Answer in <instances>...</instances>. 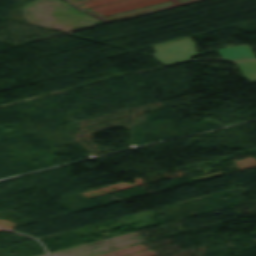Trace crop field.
I'll return each mask as SVG.
<instances>
[{
	"mask_svg": "<svg viewBox=\"0 0 256 256\" xmlns=\"http://www.w3.org/2000/svg\"><path fill=\"white\" fill-rule=\"evenodd\" d=\"M250 83L256 82V79L248 80Z\"/></svg>",
	"mask_w": 256,
	"mask_h": 256,
	"instance_id": "1",
	"label": "crop field"
}]
</instances>
